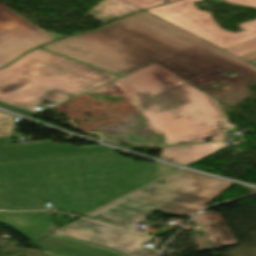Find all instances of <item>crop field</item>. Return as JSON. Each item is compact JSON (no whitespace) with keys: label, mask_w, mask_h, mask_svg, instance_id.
<instances>
[{"label":"crop field","mask_w":256,"mask_h":256,"mask_svg":"<svg viewBox=\"0 0 256 256\" xmlns=\"http://www.w3.org/2000/svg\"><path fill=\"white\" fill-rule=\"evenodd\" d=\"M157 164L128 161L114 152L0 164V209L51 208L84 214L155 178Z\"/></svg>","instance_id":"obj_1"},{"label":"crop field","mask_w":256,"mask_h":256,"mask_svg":"<svg viewBox=\"0 0 256 256\" xmlns=\"http://www.w3.org/2000/svg\"><path fill=\"white\" fill-rule=\"evenodd\" d=\"M200 41L141 11L41 48L117 74L137 71Z\"/></svg>","instance_id":"obj_2"},{"label":"crop field","mask_w":256,"mask_h":256,"mask_svg":"<svg viewBox=\"0 0 256 256\" xmlns=\"http://www.w3.org/2000/svg\"><path fill=\"white\" fill-rule=\"evenodd\" d=\"M115 82L170 145L204 142L203 137L224 140L223 134L235 128L216 101L154 64Z\"/></svg>","instance_id":"obj_3"},{"label":"crop field","mask_w":256,"mask_h":256,"mask_svg":"<svg viewBox=\"0 0 256 256\" xmlns=\"http://www.w3.org/2000/svg\"><path fill=\"white\" fill-rule=\"evenodd\" d=\"M116 77L37 49L0 70V100L27 109L43 100L61 103Z\"/></svg>","instance_id":"obj_4"},{"label":"crop field","mask_w":256,"mask_h":256,"mask_svg":"<svg viewBox=\"0 0 256 256\" xmlns=\"http://www.w3.org/2000/svg\"><path fill=\"white\" fill-rule=\"evenodd\" d=\"M233 183L180 170L83 218L132 231L153 211L192 217Z\"/></svg>","instance_id":"obj_5"},{"label":"crop field","mask_w":256,"mask_h":256,"mask_svg":"<svg viewBox=\"0 0 256 256\" xmlns=\"http://www.w3.org/2000/svg\"><path fill=\"white\" fill-rule=\"evenodd\" d=\"M197 1L181 0L146 11L222 49L256 37V20L237 25L244 32L226 31L193 5Z\"/></svg>","instance_id":"obj_6"},{"label":"crop field","mask_w":256,"mask_h":256,"mask_svg":"<svg viewBox=\"0 0 256 256\" xmlns=\"http://www.w3.org/2000/svg\"><path fill=\"white\" fill-rule=\"evenodd\" d=\"M185 82L219 68L237 71L256 81V66L230 55L204 41L154 63Z\"/></svg>","instance_id":"obj_7"},{"label":"crop field","mask_w":256,"mask_h":256,"mask_svg":"<svg viewBox=\"0 0 256 256\" xmlns=\"http://www.w3.org/2000/svg\"><path fill=\"white\" fill-rule=\"evenodd\" d=\"M54 39L0 2V68L23 52Z\"/></svg>","instance_id":"obj_8"},{"label":"crop field","mask_w":256,"mask_h":256,"mask_svg":"<svg viewBox=\"0 0 256 256\" xmlns=\"http://www.w3.org/2000/svg\"><path fill=\"white\" fill-rule=\"evenodd\" d=\"M54 232L114 248L130 256L157 255V252L143 248L142 245L148 243V239L145 235L129 233L82 219Z\"/></svg>","instance_id":"obj_9"},{"label":"crop field","mask_w":256,"mask_h":256,"mask_svg":"<svg viewBox=\"0 0 256 256\" xmlns=\"http://www.w3.org/2000/svg\"><path fill=\"white\" fill-rule=\"evenodd\" d=\"M9 137L0 138V162L117 151L105 146L71 147L53 142L7 147Z\"/></svg>","instance_id":"obj_10"},{"label":"crop field","mask_w":256,"mask_h":256,"mask_svg":"<svg viewBox=\"0 0 256 256\" xmlns=\"http://www.w3.org/2000/svg\"><path fill=\"white\" fill-rule=\"evenodd\" d=\"M31 243L44 250L67 256H125L109 248L53 233H50Z\"/></svg>","instance_id":"obj_11"},{"label":"crop field","mask_w":256,"mask_h":256,"mask_svg":"<svg viewBox=\"0 0 256 256\" xmlns=\"http://www.w3.org/2000/svg\"><path fill=\"white\" fill-rule=\"evenodd\" d=\"M52 221L53 216L51 212L0 213L1 224L19 231L31 241L58 229L52 224ZM48 226L53 228H46Z\"/></svg>","instance_id":"obj_12"},{"label":"crop field","mask_w":256,"mask_h":256,"mask_svg":"<svg viewBox=\"0 0 256 256\" xmlns=\"http://www.w3.org/2000/svg\"><path fill=\"white\" fill-rule=\"evenodd\" d=\"M222 147V142H219L203 145L163 148L160 159L179 165H187Z\"/></svg>","instance_id":"obj_13"},{"label":"crop field","mask_w":256,"mask_h":256,"mask_svg":"<svg viewBox=\"0 0 256 256\" xmlns=\"http://www.w3.org/2000/svg\"><path fill=\"white\" fill-rule=\"evenodd\" d=\"M142 9L127 3L123 0H103L91 11L86 13L88 16L104 23L112 22L122 16L140 11Z\"/></svg>","instance_id":"obj_14"},{"label":"crop field","mask_w":256,"mask_h":256,"mask_svg":"<svg viewBox=\"0 0 256 256\" xmlns=\"http://www.w3.org/2000/svg\"><path fill=\"white\" fill-rule=\"evenodd\" d=\"M191 222L202 227L201 229L194 231L196 233L212 229L217 238L219 239L220 243L222 244V246L236 243L228 228L223 223L219 222L214 218L207 219L204 212L199 214Z\"/></svg>","instance_id":"obj_15"},{"label":"crop field","mask_w":256,"mask_h":256,"mask_svg":"<svg viewBox=\"0 0 256 256\" xmlns=\"http://www.w3.org/2000/svg\"><path fill=\"white\" fill-rule=\"evenodd\" d=\"M221 73H224V72L215 70V71H213L209 74H206V75H204L202 77H199L195 80H192L188 83L193 85L194 87L202 90L204 88H207V87H210L212 85L218 84V83L222 82L223 80L231 79V78H229L225 75H221ZM207 76H210V78H207ZM199 79H202V81H199ZM211 80L213 81V83H210ZM201 83L204 84V85L201 86L200 85Z\"/></svg>","instance_id":"obj_16"},{"label":"crop field","mask_w":256,"mask_h":256,"mask_svg":"<svg viewBox=\"0 0 256 256\" xmlns=\"http://www.w3.org/2000/svg\"><path fill=\"white\" fill-rule=\"evenodd\" d=\"M225 50L237 55L238 57L249 54L251 52L256 51V38L235 45L233 47L227 48Z\"/></svg>","instance_id":"obj_17"},{"label":"crop field","mask_w":256,"mask_h":256,"mask_svg":"<svg viewBox=\"0 0 256 256\" xmlns=\"http://www.w3.org/2000/svg\"><path fill=\"white\" fill-rule=\"evenodd\" d=\"M14 116L0 112V137L8 136L12 133Z\"/></svg>","instance_id":"obj_18"},{"label":"crop field","mask_w":256,"mask_h":256,"mask_svg":"<svg viewBox=\"0 0 256 256\" xmlns=\"http://www.w3.org/2000/svg\"><path fill=\"white\" fill-rule=\"evenodd\" d=\"M95 92H103V93H107V94H118V95H122L125 96L127 98H130L128 95H126L121 89L120 87L114 82V83H110L107 84L105 86H102L98 89H95L89 93H95Z\"/></svg>","instance_id":"obj_19"},{"label":"crop field","mask_w":256,"mask_h":256,"mask_svg":"<svg viewBox=\"0 0 256 256\" xmlns=\"http://www.w3.org/2000/svg\"><path fill=\"white\" fill-rule=\"evenodd\" d=\"M128 1L142 9L153 7L156 5L164 4L174 0H125Z\"/></svg>","instance_id":"obj_20"},{"label":"crop field","mask_w":256,"mask_h":256,"mask_svg":"<svg viewBox=\"0 0 256 256\" xmlns=\"http://www.w3.org/2000/svg\"><path fill=\"white\" fill-rule=\"evenodd\" d=\"M174 170H176L175 167H171V166H168L165 164L158 163V169H157L155 180L174 171Z\"/></svg>","instance_id":"obj_21"},{"label":"crop field","mask_w":256,"mask_h":256,"mask_svg":"<svg viewBox=\"0 0 256 256\" xmlns=\"http://www.w3.org/2000/svg\"><path fill=\"white\" fill-rule=\"evenodd\" d=\"M0 107L15 111L17 113H20V114H23V115H26V116H29V117H33L34 115L37 114V113L30 112V111H27V110H24V109H21V108H17V107L8 105V104H4V103H1V102H0Z\"/></svg>","instance_id":"obj_22"},{"label":"crop field","mask_w":256,"mask_h":256,"mask_svg":"<svg viewBox=\"0 0 256 256\" xmlns=\"http://www.w3.org/2000/svg\"><path fill=\"white\" fill-rule=\"evenodd\" d=\"M230 3L245 5L256 8V0H226Z\"/></svg>","instance_id":"obj_23"},{"label":"crop field","mask_w":256,"mask_h":256,"mask_svg":"<svg viewBox=\"0 0 256 256\" xmlns=\"http://www.w3.org/2000/svg\"><path fill=\"white\" fill-rule=\"evenodd\" d=\"M241 58L244 59V60H246V61H248V62H251V61H253V60H256V52L251 53V54L246 55V56H243V57H241Z\"/></svg>","instance_id":"obj_24"},{"label":"crop field","mask_w":256,"mask_h":256,"mask_svg":"<svg viewBox=\"0 0 256 256\" xmlns=\"http://www.w3.org/2000/svg\"><path fill=\"white\" fill-rule=\"evenodd\" d=\"M207 233L209 234V236L211 237V239L213 240V242L216 244V246H221V244L219 243L218 239L216 238V236L214 235V233L212 232V230L207 231Z\"/></svg>","instance_id":"obj_25"},{"label":"crop field","mask_w":256,"mask_h":256,"mask_svg":"<svg viewBox=\"0 0 256 256\" xmlns=\"http://www.w3.org/2000/svg\"><path fill=\"white\" fill-rule=\"evenodd\" d=\"M149 128H150V127H149ZM150 130H151L152 132L158 133V134H160V135H162V136L165 137L164 133H163L162 131H160V130L153 129V128H150ZM165 143H166V145H169L168 142H167V140H166V137H165Z\"/></svg>","instance_id":"obj_26"},{"label":"crop field","mask_w":256,"mask_h":256,"mask_svg":"<svg viewBox=\"0 0 256 256\" xmlns=\"http://www.w3.org/2000/svg\"><path fill=\"white\" fill-rule=\"evenodd\" d=\"M210 213H211V212L205 211V214H206L207 218H210V217H211V216L209 215ZM212 214L214 215L213 217H215L216 219H218L219 221H221L219 215L214 214V213H212ZM221 222H222V221H221Z\"/></svg>","instance_id":"obj_27"},{"label":"crop field","mask_w":256,"mask_h":256,"mask_svg":"<svg viewBox=\"0 0 256 256\" xmlns=\"http://www.w3.org/2000/svg\"><path fill=\"white\" fill-rule=\"evenodd\" d=\"M252 64L256 65V61L251 62Z\"/></svg>","instance_id":"obj_28"}]
</instances>
